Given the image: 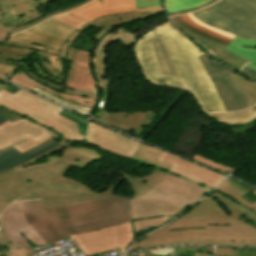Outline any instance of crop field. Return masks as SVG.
I'll list each match as a JSON object with an SVG mask.
<instances>
[{"label":"crop field","instance_id":"1","mask_svg":"<svg viewBox=\"0 0 256 256\" xmlns=\"http://www.w3.org/2000/svg\"><path fill=\"white\" fill-rule=\"evenodd\" d=\"M93 159L80 155L65 154L55 163L16 171L14 168L0 173V213L17 198L48 182L73 183L93 194L77 195L65 191L39 190L16 201L43 198L47 207L81 204L116 196L112 192L117 184L126 179L133 188V199L129 198L132 220L169 215L173 218L207 195L212 190L186 181L173 174L154 169L144 177H123L106 191L97 193L86 185L63 176L71 165L85 168ZM52 174V176H50ZM43 179V180H41ZM120 197V196H119ZM126 198V197H125Z\"/></svg>","mask_w":256,"mask_h":256},{"label":"crop field","instance_id":"2","mask_svg":"<svg viewBox=\"0 0 256 256\" xmlns=\"http://www.w3.org/2000/svg\"><path fill=\"white\" fill-rule=\"evenodd\" d=\"M186 243L255 244L256 214L214 191L168 226L142 238L131 248Z\"/></svg>","mask_w":256,"mask_h":256},{"label":"crop field","instance_id":"3","mask_svg":"<svg viewBox=\"0 0 256 256\" xmlns=\"http://www.w3.org/2000/svg\"><path fill=\"white\" fill-rule=\"evenodd\" d=\"M159 29L166 35L161 39L179 77L160 76L151 43L164 35L155 28L142 36L134 46V54L145 79L155 85H168L188 90L197 99L204 113L225 111L215 88L196 57L204 53L170 23Z\"/></svg>","mask_w":256,"mask_h":256},{"label":"crop field","instance_id":"4","mask_svg":"<svg viewBox=\"0 0 256 256\" xmlns=\"http://www.w3.org/2000/svg\"><path fill=\"white\" fill-rule=\"evenodd\" d=\"M103 207V209H101ZM26 220L47 244L69 235L131 220L129 200L113 197L93 203L46 208L42 200L23 202Z\"/></svg>","mask_w":256,"mask_h":256},{"label":"crop field","instance_id":"5","mask_svg":"<svg viewBox=\"0 0 256 256\" xmlns=\"http://www.w3.org/2000/svg\"><path fill=\"white\" fill-rule=\"evenodd\" d=\"M0 107L31 119L72 142H84L86 128L58 115L62 109L23 90L14 94L1 90Z\"/></svg>","mask_w":256,"mask_h":256},{"label":"crop field","instance_id":"6","mask_svg":"<svg viewBox=\"0 0 256 256\" xmlns=\"http://www.w3.org/2000/svg\"><path fill=\"white\" fill-rule=\"evenodd\" d=\"M21 45V47H20ZM37 54L45 59L38 58L39 62H34L35 69L38 73L46 76L44 80L38 78L30 70L29 64L26 58L18 57L14 58L13 55H24V54ZM0 58L4 59H14L19 60V63H7L0 61V73L11 76L12 73L21 67L22 71L25 72L28 76L34 78L35 80L57 90L61 91L65 88V83L62 84L63 72L61 64V51L20 41L10 37L4 45H0Z\"/></svg>","mask_w":256,"mask_h":256},{"label":"crop field","instance_id":"7","mask_svg":"<svg viewBox=\"0 0 256 256\" xmlns=\"http://www.w3.org/2000/svg\"><path fill=\"white\" fill-rule=\"evenodd\" d=\"M192 15L221 31L256 39V0H220Z\"/></svg>","mask_w":256,"mask_h":256},{"label":"crop field","instance_id":"8","mask_svg":"<svg viewBox=\"0 0 256 256\" xmlns=\"http://www.w3.org/2000/svg\"><path fill=\"white\" fill-rule=\"evenodd\" d=\"M51 136L58 141L63 138L31 120L21 118L13 123L8 121L0 126V150L12 145L23 153Z\"/></svg>","mask_w":256,"mask_h":256},{"label":"crop field","instance_id":"9","mask_svg":"<svg viewBox=\"0 0 256 256\" xmlns=\"http://www.w3.org/2000/svg\"><path fill=\"white\" fill-rule=\"evenodd\" d=\"M86 256L119 248L124 253L134 240L131 221L94 232L71 236Z\"/></svg>","mask_w":256,"mask_h":256},{"label":"crop field","instance_id":"10","mask_svg":"<svg viewBox=\"0 0 256 256\" xmlns=\"http://www.w3.org/2000/svg\"><path fill=\"white\" fill-rule=\"evenodd\" d=\"M0 225L11 243L17 246L30 247L25 238L36 246L45 244L44 240L25 220L22 211V202L12 203L6 208L0 216Z\"/></svg>","mask_w":256,"mask_h":256},{"label":"crop field","instance_id":"11","mask_svg":"<svg viewBox=\"0 0 256 256\" xmlns=\"http://www.w3.org/2000/svg\"><path fill=\"white\" fill-rule=\"evenodd\" d=\"M162 12H164L162 8L149 9V10H143L139 12L107 15V16H103L95 20H92L90 22H87L85 25H83L82 28H80L75 34H73L69 38V40L66 42L63 53H62V58L73 61L76 49L71 47L70 45L78 37V35L89 25L94 24L102 28L100 32L93 37L101 41L106 34L120 27L122 24L131 22L134 20H138L140 18H148L154 15L160 14Z\"/></svg>","mask_w":256,"mask_h":256},{"label":"crop field","instance_id":"12","mask_svg":"<svg viewBox=\"0 0 256 256\" xmlns=\"http://www.w3.org/2000/svg\"><path fill=\"white\" fill-rule=\"evenodd\" d=\"M157 161L171 166L170 170L172 171L170 173L212 189H214L226 178V176H223L217 172L178 158L175 155L165 151L162 152Z\"/></svg>","mask_w":256,"mask_h":256},{"label":"crop field","instance_id":"13","mask_svg":"<svg viewBox=\"0 0 256 256\" xmlns=\"http://www.w3.org/2000/svg\"><path fill=\"white\" fill-rule=\"evenodd\" d=\"M87 143L129 159L135 154L140 144L93 122L89 125Z\"/></svg>","mask_w":256,"mask_h":256},{"label":"crop field","instance_id":"14","mask_svg":"<svg viewBox=\"0 0 256 256\" xmlns=\"http://www.w3.org/2000/svg\"><path fill=\"white\" fill-rule=\"evenodd\" d=\"M50 0H10L0 3V24L8 29L31 23L43 15L35 8Z\"/></svg>","mask_w":256,"mask_h":256},{"label":"crop field","instance_id":"15","mask_svg":"<svg viewBox=\"0 0 256 256\" xmlns=\"http://www.w3.org/2000/svg\"><path fill=\"white\" fill-rule=\"evenodd\" d=\"M157 18H164V16L157 17ZM155 19L141 23V25L148 23L150 21H153ZM140 26L134 28V30L131 31L130 33L122 27L121 29L106 35L104 39L97 45L95 52L93 54L92 68L98 82V88L100 89L108 88V85H109V80H107L106 78H103L104 71H105L104 47L106 43L120 41V43L123 45L134 46L140 37L132 33L136 29H138Z\"/></svg>","mask_w":256,"mask_h":256},{"label":"crop field","instance_id":"16","mask_svg":"<svg viewBox=\"0 0 256 256\" xmlns=\"http://www.w3.org/2000/svg\"><path fill=\"white\" fill-rule=\"evenodd\" d=\"M159 111L156 112V114H158ZM145 113L147 112L127 111L106 113V111H99L92 117V119L107 124L109 126H113L134 136H138L143 131V129L149 124L147 122L148 119ZM150 116L151 114L149 113V117ZM150 120H152V118ZM132 129L136 130L133 131Z\"/></svg>","mask_w":256,"mask_h":256},{"label":"crop field","instance_id":"17","mask_svg":"<svg viewBox=\"0 0 256 256\" xmlns=\"http://www.w3.org/2000/svg\"><path fill=\"white\" fill-rule=\"evenodd\" d=\"M158 7H162V6L148 7V8H142V9L158 8ZM142 9H136L134 0H103V3L99 2L98 0H94L68 13L78 16L87 21H90L92 19H95L103 15H107V14L122 13V12H128V11H138Z\"/></svg>","mask_w":256,"mask_h":256},{"label":"crop field","instance_id":"18","mask_svg":"<svg viewBox=\"0 0 256 256\" xmlns=\"http://www.w3.org/2000/svg\"><path fill=\"white\" fill-rule=\"evenodd\" d=\"M62 146L55 138L51 137L41 145L21 154L16 149L10 147L0 152V172L21 165L50 150Z\"/></svg>","mask_w":256,"mask_h":256},{"label":"crop field","instance_id":"19","mask_svg":"<svg viewBox=\"0 0 256 256\" xmlns=\"http://www.w3.org/2000/svg\"><path fill=\"white\" fill-rule=\"evenodd\" d=\"M63 146L55 149L53 151H50L30 162L24 163L21 166L15 167L16 170L29 168L37 165L47 164L51 162H55L58 160V158L65 153H71V154H80L86 157H90L95 159L96 161L100 162L103 160L102 154L98 153L95 150L86 148V147H78V145L74 144H67L65 141L60 140L59 141Z\"/></svg>","mask_w":256,"mask_h":256},{"label":"crop field","instance_id":"20","mask_svg":"<svg viewBox=\"0 0 256 256\" xmlns=\"http://www.w3.org/2000/svg\"><path fill=\"white\" fill-rule=\"evenodd\" d=\"M211 81L216 88L226 111H238L247 108L242 96L225 77L214 78L211 79Z\"/></svg>","mask_w":256,"mask_h":256},{"label":"crop field","instance_id":"21","mask_svg":"<svg viewBox=\"0 0 256 256\" xmlns=\"http://www.w3.org/2000/svg\"><path fill=\"white\" fill-rule=\"evenodd\" d=\"M11 82H14L28 90H31L37 86L45 91H48L50 93L58 95L63 99H66V100H69V101H72V102H75L78 104H82V105H86V106H90V107H93V105L95 104V99H93V98L79 97V96H75V95H71V94L60 93V92H57L49 87H46V86L40 84L39 82L33 80L32 78L28 77L21 70L18 71L13 76V78L11 79Z\"/></svg>","mask_w":256,"mask_h":256},{"label":"crop field","instance_id":"22","mask_svg":"<svg viewBox=\"0 0 256 256\" xmlns=\"http://www.w3.org/2000/svg\"><path fill=\"white\" fill-rule=\"evenodd\" d=\"M171 20H172V18H171ZM174 24L177 25L179 29L183 30L187 35L192 36V37L200 40L203 44H205L207 47H209L211 50H213L216 53L215 56L217 58H219L222 62L231 66L232 68L239 71V69L242 66H244V64L246 63V61L228 53L225 50H223L222 48L224 46L219 45V44H217L215 42H212V41L205 40V39H203V38H201V37H199V36H197L193 33H190L188 31H186L185 29L181 28L176 22H174Z\"/></svg>","mask_w":256,"mask_h":256},{"label":"crop field","instance_id":"23","mask_svg":"<svg viewBox=\"0 0 256 256\" xmlns=\"http://www.w3.org/2000/svg\"><path fill=\"white\" fill-rule=\"evenodd\" d=\"M91 62H92V54L91 53L77 50L75 59L70 67L69 76L65 81L67 86L75 79L78 63H82V64H86L87 70H88V83L84 90L96 91L97 90V82H96L93 72H92Z\"/></svg>","mask_w":256,"mask_h":256},{"label":"crop field","instance_id":"24","mask_svg":"<svg viewBox=\"0 0 256 256\" xmlns=\"http://www.w3.org/2000/svg\"><path fill=\"white\" fill-rule=\"evenodd\" d=\"M199 60L201 61L205 71L207 72L210 78L225 76L239 91V93L243 96L245 101L247 102L248 106H252L248 101L247 97L245 96L243 90L239 85H237L229 76L230 74L234 73L233 71L223 67L222 65L218 64L215 60L208 57L206 54L198 56Z\"/></svg>","mask_w":256,"mask_h":256},{"label":"crop field","instance_id":"25","mask_svg":"<svg viewBox=\"0 0 256 256\" xmlns=\"http://www.w3.org/2000/svg\"><path fill=\"white\" fill-rule=\"evenodd\" d=\"M12 37H15L17 39L49 46L52 48L60 49L62 48L65 40H61L58 38H55L51 35L42 33L41 31L35 30L33 28L23 31L21 33H17L12 35Z\"/></svg>","mask_w":256,"mask_h":256},{"label":"crop field","instance_id":"26","mask_svg":"<svg viewBox=\"0 0 256 256\" xmlns=\"http://www.w3.org/2000/svg\"><path fill=\"white\" fill-rule=\"evenodd\" d=\"M241 45H244V46H256V40L243 39V38H240V37H235L231 41V43L226 47V49H228V50H230V51H232V52H234V53H236V54H238V55H240V56H242V57L252 61L253 63L252 64L248 63L247 66L252 68V69H254V70H256V49H254V48H244Z\"/></svg>","mask_w":256,"mask_h":256},{"label":"crop field","instance_id":"27","mask_svg":"<svg viewBox=\"0 0 256 256\" xmlns=\"http://www.w3.org/2000/svg\"><path fill=\"white\" fill-rule=\"evenodd\" d=\"M162 152V150L144 145V144H140V147L138 149V151L136 152V154L131 158L133 161H137L143 164H147L153 167H156L160 170H164L169 172V166H166L164 164H161L157 161H155L157 159V157L160 155V153Z\"/></svg>","mask_w":256,"mask_h":256},{"label":"crop field","instance_id":"28","mask_svg":"<svg viewBox=\"0 0 256 256\" xmlns=\"http://www.w3.org/2000/svg\"><path fill=\"white\" fill-rule=\"evenodd\" d=\"M214 118L217 122L225 124H239L252 121L256 118V106L237 113H217L207 114Z\"/></svg>","mask_w":256,"mask_h":256},{"label":"crop field","instance_id":"29","mask_svg":"<svg viewBox=\"0 0 256 256\" xmlns=\"http://www.w3.org/2000/svg\"><path fill=\"white\" fill-rule=\"evenodd\" d=\"M34 28L65 40L76 30L54 18L46 20Z\"/></svg>","mask_w":256,"mask_h":256},{"label":"crop field","instance_id":"30","mask_svg":"<svg viewBox=\"0 0 256 256\" xmlns=\"http://www.w3.org/2000/svg\"><path fill=\"white\" fill-rule=\"evenodd\" d=\"M216 191L224 194L225 196H227V197L235 200L236 202L244 205L248 209L256 212V203L252 206V205L246 203L245 201H243L242 199L239 198L246 191L242 187H240L236 184L228 183V182L225 181L222 185H220L218 187V189ZM253 193L256 194V190Z\"/></svg>","mask_w":256,"mask_h":256},{"label":"crop field","instance_id":"31","mask_svg":"<svg viewBox=\"0 0 256 256\" xmlns=\"http://www.w3.org/2000/svg\"><path fill=\"white\" fill-rule=\"evenodd\" d=\"M31 91H33V92H35V93H37V94H39L43 97L51 99V100L65 106V107L71 109V110H74L76 112L82 113V114L87 115V116H90L91 109H92L90 107L78 105V104L63 100V99L59 98L58 96H55V95L50 94L48 92H45V91H43V90H41L37 87L35 89L31 90Z\"/></svg>","mask_w":256,"mask_h":256},{"label":"crop field","instance_id":"32","mask_svg":"<svg viewBox=\"0 0 256 256\" xmlns=\"http://www.w3.org/2000/svg\"><path fill=\"white\" fill-rule=\"evenodd\" d=\"M209 0H164V5L168 13L194 8Z\"/></svg>","mask_w":256,"mask_h":256},{"label":"crop field","instance_id":"33","mask_svg":"<svg viewBox=\"0 0 256 256\" xmlns=\"http://www.w3.org/2000/svg\"><path fill=\"white\" fill-rule=\"evenodd\" d=\"M172 220L166 216L159 218H150V219H140L132 221L133 231L138 232L142 230H146L155 226H162Z\"/></svg>","mask_w":256,"mask_h":256},{"label":"crop field","instance_id":"34","mask_svg":"<svg viewBox=\"0 0 256 256\" xmlns=\"http://www.w3.org/2000/svg\"><path fill=\"white\" fill-rule=\"evenodd\" d=\"M231 77L236 83H238L243 88L252 105H255L256 104V84L241 77L236 73L231 75Z\"/></svg>","mask_w":256,"mask_h":256},{"label":"crop field","instance_id":"35","mask_svg":"<svg viewBox=\"0 0 256 256\" xmlns=\"http://www.w3.org/2000/svg\"><path fill=\"white\" fill-rule=\"evenodd\" d=\"M172 18H173V20L176 21L180 26H182L183 28H185V29H187V30H189V31H191V32H193V33L199 35V36H202V37H204V38H206V39H208V40L215 41V42L220 43V44H222V45H224V46H226L227 43H228V41H225V40L220 39V38L213 37V36H211V35H209V34L203 32V31H201V30H199V29H196V28H194V27L188 25L180 16H176V17H172Z\"/></svg>","mask_w":256,"mask_h":256},{"label":"crop field","instance_id":"36","mask_svg":"<svg viewBox=\"0 0 256 256\" xmlns=\"http://www.w3.org/2000/svg\"><path fill=\"white\" fill-rule=\"evenodd\" d=\"M39 189H55V190H66V191H70V192H74L77 194H84V193H90L87 190L73 185V184H64V183H49V184H43L41 186H39Z\"/></svg>","mask_w":256,"mask_h":256},{"label":"crop field","instance_id":"37","mask_svg":"<svg viewBox=\"0 0 256 256\" xmlns=\"http://www.w3.org/2000/svg\"><path fill=\"white\" fill-rule=\"evenodd\" d=\"M87 83V70L86 66L79 64L77 69V75L74 82H72L69 87L83 90Z\"/></svg>","mask_w":256,"mask_h":256},{"label":"crop field","instance_id":"38","mask_svg":"<svg viewBox=\"0 0 256 256\" xmlns=\"http://www.w3.org/2000/svg\"><path fill=\"white\" fill-rule=\"evenodd\" d=\"M89 1H91V0H84L83 2H81V3H79V4L75 5V6H72V7H69V8L60 10V11H57V12H55V13H53V14H49V15L45 16L44 18H42V19H40V20H37V21H35V22L31 23V24L24 25V26H20V27H16V28H14V29H11V30H10V33L13 34V33H15V32H18V31L25 30V29H28V28H30V27H33V26H35L36 24H38V23L44 21L45 19H47V18H49V17H51V16H53V15H55V14L68 12V11L73 10V9H75V8L81 6V5H83V4H85V3L89 2Z\"/></svg>","mask_w":256,"mask_h":256},{"label":"crop field","instance_id":"39","mask_svg":"<svg viewBox=\"0 0 256 256\" xmlns=\"http://www.w3.org/2000/svg\"><path fill=\"white\" fill-rule=\"evenodd\" d=\"M227 181L236 183L247 190L240 198H242L243 200H245L246 202H248L252 205L256 202V195L252 193L255 190V188L244 185V184H242L236 180L230 179V178Z\"/></svg>","mask_w":256,"mask_h":256},{"label":"crop field","instance_id":"40","mask_svg":"<svg viewBox=\"0 0 256 256\" xmlns=\"http://www.w3.org/2000/svg\"><path fill=\"white\" fill-rule=\"evenodd\" d=\"M152 46H153V49H154V52H155V55H156V58H157V61H158V64H159L161 75L171 76L167 67H166L164 58H163V56H162V54H161V52L158 48L157 42L153 43Z\"/></svg>","mask_w":256,"mask_h":256},{"label":"crop field","instance_id":"41","mask_svg":"<svg viewBox=\"0 0 256 256\" xmlns=\"http://www.w3.org/2000/svg\"><path fill=\"white\" fill-rule=\"evenodd\" d=\"M54 18L74 27V28H78L80 25H82L84 23V21L78 19V18H75V17H72L68 14H62V15H59V16H55Z\"/></svg>","mask_w":256,"mask_h":256},{"label":"crop field","instance_id":"42","mask_svg":"<svg viewBox=\"0 0 256 256\" xmlns=\"http://www.w3.org/2000/svg\"><path fill=\"white\" fill-rule=\"evenodd\" d=\"M157 42H158L159 48H160V50H161V52H162V54H163V56L165 58L167 67H168L171 75L172 76H178L177 73H176V70H175V68H174V66H173V64H172V62L170 60V57H169V55H168V53H167V51H166V49H165V47H164V45H163V43L161 41V39L157 40Z\"/></svg>","mask_w":256,"mask_h":256},{"label":"crop field","instance_id":"43","mask_svg":"<svg viewBox=\"0 0 256 256\" xmlns=\"http://www.w3.org/2000/svg\"><path fill=\"white\" fill-rule=\"evenodd\" d=\"M242 249H256V247L238 248L236 251H232L228 248H216V256H239Z\"/></svg>","mask_w":256,"mask_h":256},{"label":"crop field","instance_id":"44","mask_svg":"<svg viewBox=\"0 0 256 256\" xmlns=\"http://www.w3.org/2000/svg\"><path fill=\"white\" fill-rule=\"evenodd\" d=\"M6 247L9 251L3 253L8 256H26V248L17 247L11 243L7 244Z\"/></svg>","mask_w":256,"mask_h":256},{"label":"crop field","instance_id":"45","mask_svg":"<svg viewBox=\"0 0 256 256\" xmlns=\"http://www.w3.org/2000/svg\"><path fill=\"white\" fill-rule=\"evenodd\" d=\"M181 17H182L187 23H189V24H191V25H193V26H195V27H197V28H199V29H201V30H203V31H205V32H207V33L213 35V36H217V37L226 39V40H228V41L231 40V38H228V37H226V36H223V35H221V34H218V33H216V32H213V31H211V30H208V29H206V28H204V27H202V26H199V25L195 24V23L188 17L187 14L181 15Z\"/></svg>","mask_w":256,"mask_h":256},{"label":"crop field","instance_id":"46","mask_svg":"<svg viewBox=\"0 0 256 256\" xmlns=\"http://www.w3.org/2000/svg\"><path fill=\"white\" fill-rule=\"evenodd\" d=\"M174 254L169 256H194V253H190L187 247H172Z\"/></svg>","mask_w":256,"mask_h":256},{"label":"crop field","instance_id":"47","mask_svg":"<svg viewBox=\"0 0 256 256\" xmlns=\"http://www.w3.org/2000/svg\"><path fill=\"white\" fill-rule=\"evenodd\" d=\"M137 8L161 5L160 0H135Z\"/></svg>","mask_w":256,"mask_h":256},{"label":"crop field","instance_id":"48","mask_svg":"<svg viewBox=\"0 0 256 256\" xmlns=\"http://www.w3.org/2000/svg\"><path fill=\"white\" fill-rule=\"evenodd\" d=\"M2 116H4L5 118H7V119H8L9 121H11V122L14 121V120H16V119L21 118V117H19V116L13 114V113H11V112H8V111L5 110V109L0 108V117H2Z\"/></svg>","mask_w":256,"mask_h":256},{"label":"crop field","instance_id":"49","mask_svg":"<svg viewBox=\"0 0 256 256\" xmlns=\"http://www.w3.org/2000/svg\"><path fill=\"white\" fill-rule=\"evenodd\" d=\"M63 92L71 93L79 96H88V97L95 98L94 93L86 92V91H77V90H71V89L65 88Z\"/></svg>","mask_w":256,"mask_h":256},{"label":"crop field","instance_id":"50","mask_svg":"<svg viewBox=\"0 0 256 256\" xmlns=\"http://www.w3.org/2000/svg\"><path fill=\"white\" fill-rule=\"evenodd\" d=\"M190 252H205L214 255V249L211 247H188Z\"/></svg>","mask_w":256,"mask_h":256},{"label":"crop field","instance_id":"51","mask_svg":"<svg viewBox=\"0 0 256 256\" xmlns=\"http://www.w3.org/2000/svg\"><path fill=\"white\" fill-rule=\"evenodd\" d=\"M216 1H218V0H211L210 2H208V3L204 4V5H201V6L197 7V8H195V9L184 10V11H179V12H175V13H170V14H168V15L171 16V15L181 14V13H185V12L196 11V10H199V9H201V8H204V7L208 6V5H211V4H213L214 2H216Z\"/></svg>","mask_w":256,"mask_h":256},{"label":"crop field","instance_id":"52","mask_svg":"<svg viewBox=\"0 0 256 256\" xmlns=\"http://www.w3.org/2000/svg\"><path fill=\"white\" fill-rule=\"evenodd\" d=\"M188 15L190 16V18H191L194 22H196V23H198V24H200V25H202V26H204V27H206V28H208V29H211V30L216 31V32H218V33H221V34H223V35L229 36V37H231V38L235 37L234 35L221 32V31H219V30H217V29H214V28H212V27L206 26V25H204V24L198 22V21L191 15V13L188 14Z\"/></svg>","mask_w":256,"mask_h":256},{"label":"crop field","instance_id":"53","mask_svg":"<svg viewBox=\"0 0 256 256\" xmlns=\"http://www.w3.org/2000/svg\"><path fill=\"white\" fill-rule=\"evenodd\" d=\"M9 34V30L0 25V42L4 41Z\"/></svg>","mask_w":256,"mask_h":256},{"label":"crop field","instance_id":"54","mask_svg":"<svg viewBox=\"0 0 256 256\" xmlns=\"http://www.w3.org/2000/svg\"><path fill=\"white\" fill-rule=\"evenodd\" d=\"M10 241L5 237V235H0V248L3 249V251H7V248L4 244L9 243Z\"/></svg>","mask_w":256,"mask_h":256},{"label":"crop field","instance_id":"55","mask_svg":"<svg viewBox=\"0 0 256 256\" xmlns=\"http://www.w3.org/2000/svg\"><path fill=\"white\" fill-rule=\"evenodd\" d=\"M61 113H62V114H65V115H68V116H70V117H72V118H74V119H76V120H78V121H80V122L85 123V124H87V122H88L86 119H84V118H79L78 116H76V115H74V114H71V113H69V112H67V111H65V110H63Z\"/></svg>","mask_w":256,"mask_h":256},{"label":"crop field","instance_id":"56","mask_svg":"<svg viewBox=\"0 0 256 256\" xmlns=\"http://www.w3.org/2000/svg\"><path fill=\"white\" fill-rule=\"evenodd\" d=\"M2 88L6 89V90H8V91H10L12 93L17 91V89H15V88H13V87H11V86H9V85H7V84H5V83L0 81V89H2Z\"/></svg>","mask_w":256,"mask_h":256},{"label":"crop field","instance_id":"57","mask_svg":"<svg viewBox=\"0 0 256 256\" xmlns=\"http://www.w3.org/2000/svg\"><path fill=\"white\" fill-rule=\"evenodd\" d=\"M190 38H192V37H190ZM193 39V41H195L196 43H198L207 53H209V54H211L213 57H215L214 56V52H212L210 49H208L206 46H204L203 44H201L200 43V41H198V40H196V39H194V38H192ZM216 58V57H215ZM219 60V59H218Z\"/></svg>","mask_w":256,"mask_h":256},{"label":"crop field","instance_id":"58","mask_svg":"<svg viewBox=\"0 0 256 256\" xmlns=\"http://www.w3.org/2000/svg\"><path fill=\"white\" fill-rule=\"evenodd\" d=\"M240 256H256V250H243Z\"/></svg>","mask_w":256,"mask_h":256},{"label":"crop field","instance_id":"59","mask_svg":"<svg viewBox=\"0 0 256 256\" xmlns=\"http://www.w3.org/2000/svg\"><path fill=\"white\" fill-rule=\"evenodd\" d=\"M242 69L248 71L250 74H252L256 78V71H254V70H252V69H250V68H248L246 66L243 67Z\"/></svg>","mask_w":256,"mask_h":256},{"label":"crop field","instance_id":"60","mask_svg":"<svg viewBox=\"0 0 256 256\" xmlns=\"http://www.w3.org/2000/svg\"><path fill=\"white\" fill-rule=\"evenodd\" d=\"M195 256H213V255L204 254V253H195Z\"/></svg>","mask_w":256,"mask_h":256},{"label":"crop field","instance_id":"61","mask_svg":"<svg viewBox=\"0 0 256 256\" xmlns=\"http://www.w3.org/2000/svg\"><path fill=\"white\" fill-rule=\"evenodd\" d=\"M241 72L244 73L245 75L249 76L250 78L254 79L253 76H251L248 72L244 71L241 69ZM255 80V79H254Z\"/></svg>","mask_w":256,"mask_h":256},{"label":"crop field","instance_id":"62","mask_svg":"<svg viewBox=\"0 0 256 256\" xmlns=\"http://www.w3.org/2000/svg\"><path fill=\"white\" fill-rule=\"evenodd\" d=\"M6 121H8V120H6V119L3 117V118L0 119V124L4 123V122H6Z\"/></svg>","mask_w":256,"mask_h":256},{"label":"crop field","instance_id":"63","mask_svg":"<svg viewBox=\"0 0 256 256\" xmlns=\"http://www.w3.org/2000/svg\"><path fill=\"white\" fill-rule=\"evenodd\" d=\"M0 77L6 78V79H8V80H9V78H10L9 76H5V75H1V74H0ZM6 79H5V80H6Z\"/></svg>","mask_w":256,"mask_h":256},{"label":"crop field","instance_id":"64","mask_svg":"<svg viewBox=\"0 0 256 256\" xmlns=\"http://www.w3.org/2000/svg\"><path fill=\"white\" fill-rule=\"evenodd\" d=\"M2 1H6V0H0V2H2Z\"/></svg>","mask_w":256,"mask_h":256}]
</instances>
